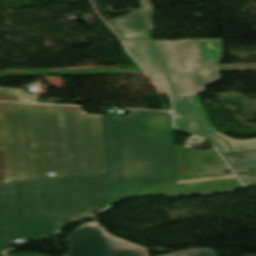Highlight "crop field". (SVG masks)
Instances as JSON below:
<instances>
[{"label":"crop field","instance_id":"6","mask_svg":"<svg viewBox=\"0 0 256 256\" xmlns=\"http://www.w3.org/2000/svg\"><path fill=\"white\" fill-rule=\"evenodd\" d=\"M179 180L230 174L223 173L221 159L215 149L198 151L176 146Z\"/></svg>","mask_w":256,"mask_h":256},{"label":"crop field","instance_id":"9","mask_svg":"<svg viewBox=\"0 0 256 256\" xmlns=\"http://www.w3.org/2000/svg\"><path fill=\"white\" fill-rule=\"evenodd\" d=\"M174 113L182 112L187 115L186 118L175 119L176 127L185 133L202 136L214 143L221 154L231 153L226 141L202 131L196 123L191 110L184 97L173 99Z\"/></svg>","mask_w":256,"mask_h":256},{"label":"crop field","instance_id":"3","mask_svg":"<svg viewBox=\"0 0 256 256\" xmlns=\"http://www.w3.org/2000/svg\"><path fill=\"white\" fill-rule=\"evenodd\" d=\"M165 112L101 115L108 199L178 180L174 128Z\"/></svg>","mask_w":256,"mask_h":256},{"label":"crop field","instance_id":"16","mask_svg":"<svg viewBox=\"0 0 256 256\" xmlns=\"http://www.w3.org/2000/svg\"><path fill=\"white\" fill-rule=\"evenodd\" d=\"M7 182L4 148H0V183Z\"/></svg>","mask_w":256,"mask_h":256},{"label":"crop field","instance_id":"11","mask_svg":"<svg viewBox=\"0 0 256 256\" xmlns=\"http://www.w3.org/2000/svg\"><path fill=\"white\" fill-rule=\"evenodd\" d=\"M224 157L236 173L256 170V150L225 154Z\"/></svg>","mask_w":256,"mask_h":256},{"label":"crop field","instance_id":"1","mask_svg":"<svg viewBox=\"0 0 256 256\" xmlns=\"http://www.w3.org/2000/svg\"><path fill=\"white\" fill-rule=\"evenodd\" d=\"M8 182L105 171L100 115L81 106L0 103Z\"/></svg>","mask_w":256,"mask_h":256},{"label":"crop field","instance_id":"4","mask_svg":"<svg viewBox=\"0 0 256 256\" xmlns=\"http://www.w3.org/2000/svg\"><path fill=\"white\" fill-rule=\"evenodd\" d=\"M154 42L177 97L203 93L205 86L221 79L222 39Z\"/></svg>","mask_w":256,"mask_h":256},{"label":"crop field","instance_id":"7","mask_svg":"<svg viewBox=\"0 0 256 256\" xmlns=\"http://www.w3.org/2000/svg\"><path fill=\"white\" fill-rule=\"evenodd\" d=\"M237 187H242V185L234 175H229V176L209 177V178L161 183L150 188L142 189L139 191L137 195L159 194V193H206V192H213V191H224V190L233 189ZM133 196H136V195H133ZM116 200L117 199L107 201L102 206V208L108 206L109 204H111Z\"/></svg>","mask_w":256,"mask_h":256},{"label":"crop field","instance_id":"15","mask_svg":"<svg viewBox=\"0 0 256 256\" xmlns=\"http://www.w3.org/2000/svg\"><path fill=\"white\" fill-rule=\"evenodd\" d=\"M140 8L149 28H153V7L149 0H140Z\"/></svg>","mask_w":256,"mask_h":256},{"label":"crop field","instance_id":"18","mask_svg":"<svg viewBox=\"0 0 256 256\" xmlns=\"http://www.w3.org/2000/svg\"><path fill=\"white\" fill-rule=\"evenodd\" d=\"M17 255H19V254H17ZM29 255H32V254H29ZM14 256V255H13ZM34 256H45V255H34Z\"/></svg>","mask_w":256,"mask_h":256},{"label":"crop field","instance_id":"19","mask_svg":"<svg viewBox=\"0 0 256 256\" xmlns=\"http://www.w3.org/2000/svg\"><path fill=\"white\" fill-rule=\"evenodd\" d=\"M19 256H29V255H19Z\"/></svg>","mask_w":256,"mask_h":256},{"label":"crop field","instance_id":"10","mask_svg":"<svg viewBox=\"0 0 256 256\" xmlns=\"http://www.w3.org/2000/svg\"><path fill=\"white\" fill-rule=\"evenodd\" d=\"M186 98L193 110V113L196 119L198 120L200 125L203 127V129L216 136L226 139L229 145L231 146L233 152L256 149V138L248 139V140H234L216 132L209 118L207 117L198 96L195 95V96H189Z\"/></svg>","mask_w":256,"mask_h":256},{"label":"crop field","instance_id":"14","mask_svg":"<svg viewBox=\"0 0 256 256\" xmlns=\"http://www.w3.org/2000/svg\"><path fill=\"white\" fill-rule=\"evenodd\" d=\"M163 256H216L209 248L186 249Z\"/></svg>","mask_w":256,"mask_h":256},{"label":"crop field","instance_id":"20","mask_svg":"<svg viewBox=\"0 0 256 256\" xmlns=\"http://www.w3.org/2000/svg\"><path fill=\"white\" fill-rule=\"evenodd\" d=\"M46 1H49V0H46Z\"/></svg>","mask_w":256,"mask_h":256},{"label":"crop field","instance_id":"12","mask_svg":"<svg viewBox=\"0 0 256 256\" xmlns=\"http://www.w3.org/2000/svg\"><path fill=\"white\" fill-rule=\"evenodd\" d=\"M112 28H147L141 13L127 14L108 21Z\"/></svg>","mask_w":256,"mask_h":256},{"label":"crop field","instance_id":"13","mask_svg":"<svg viewBox=\"0 0 256 256\" xmlns=\"http://www.w3.org/2000/svg\"><path fill=\"white\" fill-rule=\"evenodd\" d=\"M0 100L33 102V95L24 90L0 88Z\"/></svg>","mask_w":256,"mask_h":256},{"label":"crop field","instance_id":"17","mask_svg":"<svg viewBox=\"0 0 256 256\" xmlns=\"http://www.w3.org/2000/svg\"><path fill=\"white\" fill-rule=\"evenodd\" d=\"M238 176L243 181V183L246 185L256 184V172L240 174Z\"/></svg>","mask_w":256,"mask_h":256},{"label":"crop field","instance_id":"2","mask_svg":"<svg viewBox=\"0 0 256 256\" xmlns=\"http://www.w3.org/2000/svg\"><path fill=\"white\" fill-rule=\"evenodd\" d=\"M106 200L105 172L0 184V251L12 238L37 239L87 218Z\"/></svg>","mask_w":256,"mask_h":256},{"label":"crop field","instance_id":"8","mask_svg":"<svg viewBox=\"0 0 256 256\" xmlns=\"http://www.w3.org/2000/svg\"><path fill=\"white\" fill-rule=\"evenodd\" d=\"M129 53L174 98L176 97L164 71L152 39H123Z\"/></svg>","mask_w":256,"mask_h":256},{"label":"crop field","instance_id":"5","mask_svg":"<svg viewBox=\"0 0 256 256\" xmlns=\"http://www.w3.org/2000/svg\"><path fill=\"white\" fill-rule=\"evenodd\" d=\"M65 256H145V250L105 233L97 223L86 222L66 238Z\"/></svg>","mask_w":256,"mask_h":256}]
</instances>
